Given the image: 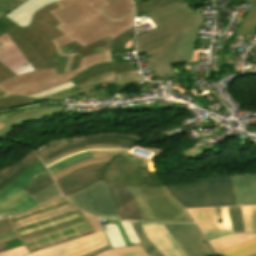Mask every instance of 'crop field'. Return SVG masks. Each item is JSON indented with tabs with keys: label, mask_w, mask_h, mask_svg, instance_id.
<instances>
[{
	"label": "crop field",
	"mask_w": 256,
	"mask_h": 256,
	"mask_svg": "<svg viewBox=\"0 0 256 256\" xmlns=\"http://www.w3.org/2000/svg\"><path fill=\"white\" fill-rule=\"evenodd\" d=\"M147 15L159 29L136 38L137 53L176 38L170 47L146 59L158 76L173 74L169 64L191 60L197 27L202 23L201 8L193 12L187 3L176 2Z\"/></svg>",
	"instance_id": "obj_1"
},
{
	"label": "crop field",
	"mask_w": 256,
	"mask_h": 256,
	"mask_svg": "<svg viewBox=\"0 0 256 256\" xmlns=\"http://www.w3.org/2000/svg\"><path fill=\"white\" fill-rule=\"evenodd\" d=\"M99 0H61L59 8L50 11L60 24L55 26L65 35L52 40L60 47L76 41L85 46L108 35L112 38L134 26V14L104 27L98 18L111 14L114 18L134 9L132 0H120L100 11L92 4Z\"/></svg>",
	"instance_id": "obj_2"
},
{
	"label": "crop field",
	"mask_w": 256,
	"mask_h": 256,
	"mask_svg": "<svg viewBox=\"0 0 256 256\" xmlns=\"http://www.w3.org/2000/svg\"><path fill=\"white\" fill-rule=\"evenodd\" d=\"M57 8L56 4H50L37 11L30 26L21 28L7 17L0 21L8 23L12 31L8 35L29 60L36 71L56 68L57 74L62 73L68 57H57L55 47L50 40L63 35L53 26L58 25L56 20L48 12ZM56 58V61H53ZM42 67L39 69V67Z\"/></svg>",
	"instance_id": "obj_3"
},
{
	"label": "crop field",
	"mask_w": 256,
	"mask_h": 256,
	"mask_svg": "<svg viewBox=\"0 0 256 256\" xmlns=\"http://www.w3.org/2000/svg\"><path fill=\"white\" fill-rule=\"evenodd\" d=\"M166 189L185 208L236 205L230 176L213 174L211 179Z\"/></svg>",
	"instance_id": "obj_4"
},
{
	"label": "crop field",
	"mask_w": 256,
	"mask_h": 256,
	"mask_svg": "<svg viewBox=\"0 0 256 256\" xmlns=\"http://www.w3.org/2000/svg\"><path fill=\"white\" fill-rule=\"evenodd\" d=\"M112 62L110 50L83 57L78 69L56 75L55 69L21 75L0 83V90L6 95L28 96L36 92L61 85L83 70L98 63ZM113 63V62H112ZM74 78V77H73Z\"/></svg>",
	"instance_id": "obj_5"
},
{
	"label": "crop field",
	"mask_w": 256,
	"mask_h": 256,
	"mask_svg": "<svg viewBox=\"0 0 256 256\" xmlns=\"http://www.w3.org/2000/svg\"><path fill=\"white\" fill-rule=\"evenodd\" d=\"M128 187L147 221L193 222L165 188Z\"/></svg>",
	"instance_id": "obj_6"
},
{
	"label": "crop field",
	"mask_w": 256,
	"mask_h": 256,
	"mask_svg": "<svg viewBox=\"0 0 256 256\" xmlns=\"http://www.w3.org/2000/svg\"><path fill=\"white\" fill-rule=\"evenodd\" d=\"M102 180L147 187H164L157 172H148L145 160L121 154L114 157L104 169Z\"/></svg>",
	"instance_id": "obj_7"
},
{
	"label": "crop field",
	"mask_w": 256,
	"mask_h": 256,
	"mask_svg": "<svg viewBox=\"0 0 256 256\" xmlns=\"http://www.w3.org/2000/svg\"><path fill=\"white\" fill-rule=\"evenodd\" d=\"M43 171L48 172L39 160L6 188L0 191V219L20 214L38 205L22 189L31 184L30 179Z\"/></svg>",
	"instance_id": "obj_8"
},
{
	"label": "crop field",
	"mask_w": 256,
	"mask_h": 256,
	"mask_svg": "<svg viewBox=\"0 0 256 256\" xmlns=\"http://www.w3.org/2000/svg\"><path fill=\"white\" fill-rule=\"evenodd\" d=\"M67 199L93 215L119 219L106 182L100 181Z\"/></svg>",
	"instance_id": "obj_9"
},
{
	"label": "crop field",
	"mask_w": 256,
	"mask_h": 256,
	"mask_svg": "<svg viewBox=\"0 0 256 256\" xmlns=\"http://www.w3.org/2000/svg\"><path fill=\"white\" fill-rule=\"evenodd\" d=\"M187 256H211L214 249L208 244L195 223H162ZM166 229V230H167Z\"/></svg>",
	"instance_id": "obj_10"
},
{
	"label": "crop field",
	"mask_w": 256,
	"mask_h": 256,
	"mask_svg": "<svg viewBox=\"0 0 256 256\" xmlns=\"http://www.w3.org/2000/svg\"><path fill=\"white\" fill-rule=\"evenodd\" d=\"M105 245H108V242L101 231L26 256H80Z\"/></svg>",
	"instance_id": "obj_11"
},
{
	"label": "crop field",
	"mask_w": 256,
	"mask_h": 256,
	"mask_svg": "<svg viewBox=\"0 0 256 256\" xmlns=\"http://www.w3.org/2000/svg\"><path fill=\"white\" fill-rule=\"evenodd\" d=\"M84 137L86 141L66 144L51 150L50 152L40 157L42 162L47 161L63 152L77 149L80 147H86V145L89 144H116L126 149H130L143 138L125 133H99L92 135H84Z\"/></svg>",
	"instance_id": "obj_12"
},
{
	"label": "crop field",
	"mask_w": 256,
	"mask_h": 256,
	"mask_svg": "<svg viewBox=\"0 0 256 256\" xmlns=\"http://www.w3.org/2000/svg\"><path fill=\"white\" fill-rule=\"evenodd\" d=\"M107 163H97L80 168L56 181L62 194L67 197L102 178L104 166Z\"/></svg>",
	"instance_id": "obj_13"
},
{
	"label": "crop field",
	"mask_w": 256,
	"mask_h": 256,
	"mask_svg": "<svg viewBox=\"0 0 256 256\" xmlns=\"http://www.w3.org/2000/svg\"><path fill=\"white\" fill-rule=\"evenodd\" d=\"M134 70L124 64H99L75 76L71 81L79 88L113 82L115 74Z\"/></svg>",
	"instance_id": "obj_14"
},
{
	"label": "crop field",
	"mask_w": 256,
	"mask_h": 256,
	"mask_svg": "<svg viewBox=\"0 0 256 256\" xmlns=\"http://www.w3.org/2000/svg\"><path fill=\"white\" fill-rule=\"evenodd\" d=\"M63 107H52L43 109L41 105L0 114V122L6 126L0 129V139L12 131L16 124L38 119L44 116L62 113Z\"/></svg>",
	"instance_id": "obj_15"
},
{
	"label": "crop field",
	"mask_w": 256,
	"mask_h": 256,
	"mask_svg": "<svg viewBox=\"0 0 256 256\" xmlns=\"http://www.w3.org/2000/svg\"><path fill=\"white\" fill-rule=\"evenodd\" d=\"M140 223L146 236L164 256H186L161 223Z\"/></svg>",
	"instance_id": "obj_16"
},
{
	"label": "crop field",
	"mask_w": 256,
	"mask_h": 256,
	"mask_svg": "<svg viewBox=\"0 0 256 256\" xmlns=\"http://www.w3.org/2000/svg\"><path fill=\"white\" fill-rule=\"evenodd\" d=\"M107 184L121 219L145 221L127 185Z\"/></svg>",
	"instance_id": "obj_17"
},
{
	"label": "crop field",
	"mask_w": 256,
	"mask_h": 256,
	"mask_svg": "<svg viewBox=\"0 0 256 256\" xmlns=\"http://www.w3.org/2000/svg\"><path fill=\"white\" fill-rule=\"evenodd\" d=\"M27 59L15 46L7 33L0 36V62L19 75L34 71Z\"/></svg>",
	"instance_id": "obj_18"
},
{
	"label": "crop field",
	"mask_w": 256,
	"mask_h": 256,
	"mask_svg": "<svg viewBox=\"0 0 256 256\" xmlns=\"http://www.w3.org/2000/svg\"><path fill=\"white\" fill-rule=\"evenodd\" d=\"M237 205L256 204V173L231 176Z\"/></svg>",
	"instance_id": "obj_19"
},
{
	"label": "crop field",
	"mask_w": 256,
	"mask_h": 256,
	"mask_svg": "<svg viewBox=\"0 0 256 256\" xmlns=\"http://www.w3.org/2000/svg\"><path fill=\"white\" fill-rule=\"evenodd\" d=\"M113 40L114 39H112L110 36H108L100 41H97V42L87 45L85 47L79 45L78 43L73 42L71 44L60 47V49L64 53H79L78 55L75 56L74 61L71 66V69H75L78 67L81 57L91 55L94 53H98V51L102 52L107 49H110V44L113 42Z\"/></svg>",
	"instance_id": "obj_20"
},
{
	"label": "crop field",
	"mask_w": 256,
	"mask_h": 256,
	"mask_svg": "<svg viewBox=\"0 0 256 256\" xmlns=\"http://www.w3.org/2000/svg\"><path fill=\"white\" fill-rule=\"evenodd\" d=\"M56 1L59 0H28L6 16L21 27L27 26L37 10Z\"/></svg>",
	"instance_id": "obj_21"
},
{
	"label": "crop field",
	"mask_w": 256,
	"mask_h": 256,
	"mask_svg": "<svg viewBox=\"0 0 256 256\" xmlns=\"http://www.w3.org/2000/svg\"><path fill=\"white\" fill-rule=\"evenodd\" d=\"M38 160V157L32 149L16 164L11 167L8 166L7 168H5L2 172H0V190H2L5 186L11 183L14 179H16L20 174H22Z\"/></svg>",
	"instance_id": "obj_22"
},
{
	"label": "crop field",
	"mask_w": 256,
	"mask_h": 256,
	"mask_svg": "<svg viewBox=\"0 0 256 256\" xmlns=\"http://www.w3.org/2000/svg\"><path fill=\"white\" fill-rule=\"evenodd\" d=\"M204 233L218 231L214 208L187 209Z\"/></svg>",
	"instance_id": "obj_23"
},
{
	"label": "crop field",
	"mask_w": 256,
	"mask_h": 256,
	"mask_svg": "<svg viewBox=\"0 0 256 256\" xmlns=\"http://www.w3.org/2000/svg\"><path fill=\"white\" fill-rule=\"evenodd\" d=\"M221 256H251L256 254V237L218 251Z\"/></svg>",
	"instance_id": "obj_24"
},
{
	"label": "crop field",
	"mask_w": 256,
	"mask_h": 256,
	"mask_svg": "<svg viewBox=\"0 0 256 256\" xmlns=\"http://www.w3.org/2000/svg\"><path fill=\"white\" fill-rule=\"evenodd\" d=\"M134 35L135 27L126 30L122 34L114 38V42L111 44V51L121 52L126 50L135 49L134 47Z\"/></svg>",
	"instance_id": "obj_25"
},
{
	"label": "crop field",
	"mask_w": 256,
	"mask_h": 256,
	"mask_svg": "<svg viewBox=\"0 0 256 256\" xmlns=\"http://www.w3.org/2000/svg\"><path fill=\"white\" fill-rule=\"evenodd\" d=\"M87 158H94L91 151L80 153V154L74 155L72 157L63 159V160L49 166L48 170L52 175V174L62 170L63 168L69 166V165H72V164H74L78 161H81V160H84V159H87Z\"/></svg>",
	"instance_id": "obj_26"
},
{
	"label": "crop field",
	"mask_w": 256,
	"mask_h": 256,
	"mask_svg": "<svg viewBox=\"0 0 256 256\" xmlns=\"http://www.w3.org/2000/svg\"><path fill=\"white\" fill-rule=\"evenodd\" d=\"M256 235H243L238 234L234 236H229L225 238L215 239L209 241L210 244L216 249V251L221 250L223 248L229 247L231 245L237 244L239 242H242L244 240L250 239L252 237H255Z\"/></svg>",
	"instance_id": "obj_27"
},
{
	"label": "crop field",
	"mask_w": 256,
	"mask_h": 256,
	"mask_svg": "<svg viewBox=\"0 0 256 256\" xmlns=\"http://www.w3.org/2000/svg\"><path fill=\"white\" fill-rule=\"evenodd\" d=\"M255 5L243 20L237 33L247 36L249 32L256 26V0H241Z\"/></svg>",
	"instance_id": "obj_28"
},
{
	"label": "crop field",
	"mask_w": 256,
	"mask_h": 256,
	"mask_svg": "<svg viewBox=\"0 0 256 256\" xmlns=\"http://www.w3.org/2000/svg\"><path fill=\"white\" fill-rule=\"evenodd\" d=\"M98 256H148L140 244L126 248L111 249Z\"/></svg>",
	"instance_id": "obj_29"
},
{
	"label": "crop field",
	"mask_w": 256,
	"mask_h": 256,
	"mask_svg": "<svg viewBox=\"0 0 256 256\" xmlns=\"http://www.w3.org/2000/svg\"><path fill=\"white\" fill-rule=\"evenodd\" d=\"M176 1H178L180 4L185 3V0H150L145 3L140 2L134 5L136 7V13L144 9H146L147 13H149L151 11H154L156 9H159L161 7L174 3Z\"/></svg>",
	"instance_id": "obj_30"
},
{
	"label": "crop field",
	"mask_w": 256,
	"mask_h": 256,
	"mask_svg": "<svg viewBox=\"0 0 256 256\" xmlns=\"http://www.w3.org/2000/svg\"><path fill=\"white\" fill-rule=\"evenodd\" d=\"M131 223L133 224L141 242H142V247L145 249V251L148 253L149 256H163L158 250L157 248L149 241V239L145 236V234L143 233L140 223L139 222H133L131 221ZM146 253V254H147Z\"/></svg>",
	"instance_id": "obj_31"
},
{
	"label": "crop field",
	"mask_w": 256,
	"mask_h": 256,
	"mask_svg": "<svg viewBox=\"0 0 256 256\" xmlns=\"http://www.w3.org/2000/svg\"><path fill=\"white\" fill-rule=\"evenodd\" d=\"M61 193L58 189V187L56 186V184H52L49 187H47L46 189L36 193L35 195L31 196L39 205L60 196Z\"/></svg>",
	"instance_id": "obj_32"
},
{
	"label": "crop field",
	"mask_w": 256,
	"mask_h": 256,
	"mask_svg": "<svg viewBox=\"0 0 256 256\" xmlns=\"http://www.w3.org/2000/svg\"><path fill=\"white\" fill-rule=\"evenodd\" d=\"M103 228L108 237L111 248L125 246L124 241L116 225L107 224L103 226Z\"/></svg>",
	"instance_id": "obj_33"
},
{
	"label": "crop field",
	"mask_w": 256,
	"mask_h": 256,
	"mask_svg": "<svg viewBox=\"0 0 256 256\" xmlns=\"http://www.w3.org/2000/svg\"><path fill=\"white\" fill-rule=\"evenodd\" d=\"M82 93H85V97L95 96L94 86L90 88L82 89V90H79L76 86H74L64 92L56 93L54 95H51L45 98L59 100L65 97L82 94Z\"/></svg>",
	"instance_id": "obj_34"
},
{
	"label": "crop field",
	"mask_w": 256,
	"mask_h": 256,
	"mask_svg": "<svg viewBox=\"0 0 256 256\" xmlns=\"http://www.w3.org/2000/svg\"><path fill=\"white\" fill-rule=\"evenodd\" d=\"M33 100L34 99H31V98L18 97V96H9V97L0 98V109H5V108L13 107L16 105L34 102Z\"/></svg>",
	"instance_id": "obj_35"
},
{
	"label": "crop field",
	"mask_w": 256,
	"mask_h": 256,
	"mask_svg": "<svg viewBox=\"0 0 256 256\" xmlns=\"http://www.w3.org/2000/svg\"><path fill=\"white\" fill-rule=\"evenodd\" d=\"M228 209L234 231L245 233L240 207H228Z\"/></svg>",
	"instance_id": "obj_36"
},
{
	"label": "crop field",
	"mask_w": 256,
	"mask_h": 256,
	"mask_svg": "<svg viewBox=\"0 0 256 256\" xmlns=\"http://www.w3.org/2000/svg\"><path fill=\"white\" fill-rule=\"evenodd\" d=\"M54 181L51 178L50 174L46 175L45 177L39 179L38 181L32 183L25 189H23L25 192H27L30 196L35 194L36 192L40 191L41 189L49 186Z\"/></svg>",
	"instance_id": "obj_37"
},
{
	"label": "crop field",
	"mask_w": 256,
	"mask_h": 256,
	"mask_svg": "<svg viewBox=\"0 0 256 256\" xmlns=\"http://www.w3.org/2000/svg\"><path fill=\"white\" fill-rule=\"evenodd\" d=\"M87 149H123V148H120V147L115 146V145H90V146H88V148H80V149H77V150H73V151H69V152H66L64 154H61V155H59V156H57V157H55V158H53V159H51L47 162H44V164L46 166H48L49 164L65 157V156H68L70 154H73V153H76V152H79V151L87 150Z\"/></svg>",
	"instance_id": "obj_38"
},
{
	"label": "crop field",
	"mask_w": 256,
	"mask_h": 256,
	"mask_svg": "<svg viewBox=\"0 0 256 256\" xmlns=\"http://www.w3.org/2000/svg\"><path fill=\"white\" fill-rule=\"evenodd\" d=\"M74 86V84L70 81L66 84H63L61 86H58V87H55V88H52V89H48V90H45V91H42V92H39V93H36L34 95H31V97H36V98H42V97H45V96H48V95H51V94H54L56 92H60V91H63L67 88H70Z\"/></svg>",
	"instance_id": "obj_39"
},
{
	"label": "crop field",
	"mask_w": 256,
	"mask_h": 256,
	"mask_svg": "<svg viewBox=\"0 0 256 256\" xmlns=\"http://www.w3.org/2000/svg\"><path fill=\"white\" fill-rule=\"evenodd\" d=\"M120 222L122 224V227H123L127 237L129 238L130 242L131 243L135 242V244L140 243L130 221H120Z\"/></svg>",
	"instance_id": "obj_40"
},
{
	"label": "crop field",
	"mask_w": 256,
	"mask_h": 256,
	"mask_svg": "<svg viewBox=\"0 0 256 256\" xmlns=\"http://www.w3.org/2000/svg\"><path fill=\"white\" fill-rule=\"evenodd\" d=\"M204 152H206V151L194 146L188 150L181 152V154L188 159H195L198 156H200L201 154H203Z\"/></svg>",
	"instance_id": "obj_41"
},
{
	"label": "crop field",
	"mask_w": 256,
	"mask_h": 256,
	"mask_svg": "<svg viewBox=\"0 0 256 256\" xmlns=\"http://www.w3.org/2000/svg\"><path fill=\"white\" fill-rule=\"evenodd\" d=\"M81 212V214L84 216V218L86 219V221L89 223V225L92 227V229L97 232V231H101V226L97 220V217L91 216L81 210H79Z\"/></svg>",
	"instance_id": "obj_42"
},
{
	"label": "crop field",
	"mask_w": 256,
	"mask_h": 256,
	"mask_svg": "<svg viewBox=\"0 0 256 256\" xmlns=\"http://www.w3.org/2000/svg\"><path fill=\"white\" fill-rule=\"evenodd\" d=\"M246 233H253L248 206L241 207Z\"/></svg>",
	"instance_id": "obj_43"
},
{
	"label": "crop field",
	"mask_w": 256,
	"mask_h": 256,
	"mask_svg": "<svg viewBox=\"0 0 256 256\" xmlns=\"http://www.w3.org/2000/svg\"><path fill=\"white\" fill-rule=\"evenodd\" d=\"M14 76L16 75L13 72H11L9 69H7L0 63V82L10 79ZM0 96H4V94L0 92Z\"/></svg>",
	"instance_id": "obj_44"
},
{
	"label": "crop field",
	"mask_w": 256,
	"mask_h": 256,
	"mask_svg": "<svg viewBox=\"0 0 256 256\" xmlns=\"http://www.w3.org/2000/svg\"><path fill=\"white\" fill-rule=\"evenodd\" d=\"M27 253L25 246L0 253V256H22Z\"/></svg>",
	"instance_id": "obj_45"
},
{
	"label": "crop field",
	"mask_w": 256,
	"mask_h": 256,
	"mask_svg": "<svg viewBox=\"0 0 256 256\" xmlns=\"http://www.w3.org/2000/svg\"><path fill=\"white\" fill-rule=\"evenodd\" d=\"M21 3L22 2L18 0H7L5 2L3 0H0V7L10 12L13 9H15L17 6H19Z\"/></svg>",
	"instance_id": "obj_46"
},
{
	"label": "crop field",
	"mask_w": 256,
	"mask_h": 256,
	"mask_svg": "<svg viewBox=\"0 0 256 256\" xmlns=\"http://www.w3.org/2000/svg\"><path fill=\"white\" fill-rule=\"evenodd\" d=\"M19 246H23V243L21 242L20 238L0 244V252L15 248V247H19Z\"/></svg>",
	"instance_id": "obj_47"
},
{
	"label": "crop field",
	"mask_w": 256,
	"mask_h": 256,
	"mask_svg": "<svg viewBox=\"0 0 256 256\" xmlns=\"http://www.w3.org/2000/svg\"><path fill=\"white\" fill-rule=\"evenodd\" d=\"M124 151H92L94 157H114Z\"/></svg>",
	"instance_id": "obj_48"
},
{
	"label": "crop field",
	"mask_w": 256,
	"mask_h": 256,
	"mask_svg": "<svg viewBox=\"0 0 256 256\" xmlns=\"http://www.w3.org/2000/svg\"><path fill=\"white\" fill-rule=\"evenodd\" d=\"M13 227L9 221V218L0 220V234L13 231Z\"/></svg>",
	"instance_id": "obj_49"
},
{
	"label": "crop field",
	"mask_w": 256,
	"mask_h": 256,
	"mask_svg": "<svg viewBox=\"0 0 256 256\" xmlns=\"http://www.w3.org/2000/svg\"><path fill=\"white\" fill-rule=\"evenodd\" d=\"M172 41H173V40H172ZM172 41L167 42V43L162 44V45H159V46L154 47V48H152V49H149V50H147V51H144L145 54H146V56H147V58L150 57V56H152V55H154V54H156V53H158V52H160V51H162V50H164L165 48H167V47L169 46L168 44L171 43ZM142 53H143V52H142Z\"/></svg>",
	"instance_id": "obj_50"
},
{
	"label": "crop field",
	"mask_w": 256,
	"mask_h": 256,
	"mask_svg": "<svg viewBox=\"0 0 256 256\" xmlns=\"http://www.w3.org/2000/svg\"><path fill=\"white\" fill-rule=\"evenodd\" d=\"M234 234H237V233L222 231V232H218V233L206 234L205 236L208 240H211V239L234 235Z\"/></svg>",
	"instance_id": "obj_51"
},
{
	"label": "crop field",
	"mask_w": 256,
	"mask_h": 256,
	"mask_svg": "<svg viewBox=\"0 0 256 256\" xmlns=\"http://www.w3.org/2000/svg\"><path fill=\"white\" fill-rule=\"evenodd\" d=\"M56 47V46H55ZM56 50H57V54H58V56H69V58H68V62L66 63V66H65V70H64V72L65 71H68L69 69H70V66H71V63H72V61H73V57H74V55L75 54H64L59 48H57L56 47Z\"/></svg>",
	"instance_id": "obj_52"
},
{
	"label": "crop field",
	"mask_w": 256,
	"mask_h": 256,
	"mask_svg": "<svg viewBox=\"0 0 256 256\" xmlns=\"http://www.w3.org/2000/svg\"><path fill=\"white\" fill-rule=\"evenodd\" d=\"M99 159H112V158H94V159L84 160V161L78 162V163H76V164H74V165H72V166H70V167H68V168H66V169H64V170L54 174V175H52V176L54 178V177H56V176H58V175H60V174H62L64 172L68 171L69 169L73 168L76 165L83 164V163H86V162H90V161H93V160H99Z\"/></svg>",
	"instance_id": "obj_53"
},
{
	"label": "crop field",
	"mask_w": 256,
	"mask_h": 256,
	"mask_svg": "<svg viewBox=\"0 0 256 256\" xmlns=\"http://www.w3.org/2000/svg\"><path fill=\"white\" fill-rule=\"evenodd\" d=\"M249 209H250L253 231H254V233H256V205L249 206Z\"/></svg>",
	"instance_id": "obj_54"
},
{
	"label": "crop field",
	"mask_w": 256,
	"mask_h": 256,
	"mask_svg": "<svg viewBox=\"0 0 256 256\" xmlns=\"http://www.w3.org/2000/svg\"><path fill=\"white\" fill-rule=\"evenodd\" d=\"M109 161H110V160H99V161H94V162L86 163V164H83V165H79V166H77V167H75V168L69 170L68 172H66V173H64V174H62V175H60V176H58V177H56V178H54V179H55V181H56V180L59 179L60 177H62V176H64V175H66V174H68V173L74 171L75 169L80 168V167H83V166H86V165H88V164L97 163V162H109Z\"/></svg>",
	"instance_id": "obj_55"
},
{
	"label": "crop field",
	"mask_w": 256,
	"mask_h": 256,
	"mask_svg": "<svg viewBox=\"0 0 256 256\" xmlns=\"http://www.w3.org/2000/svg\"><path fill=\"white\" fill-rule=\"evenodd\" d=\"M107 249H109V245L106 246V247L100 248L98 250L92 251L90 253H87L85 255H82V256H95V255H97V254H99V253H101V252H103V251H105Z\"/></svg>",
	"instance_id": "obj_56"
},
{
	"label": "crop field",
	"mask_w": 256,
	"mask_h": 256,
	"mask_svg": "<svg viewBox=\"0 0 256 256\" xmlns=\"http://www.w3.org/2000/svg\"><path fill=\"white\" fill-rule=\"evenodd\" d=\"M115 222H116V224H117L118 227H119V230H120V232H121V234H122V237H123V239H124L126 245H127V246L131 245L130 242H129V240H128V238L126 237V235H125V233H124L122 227H121L120 222H119V221H115Z\"/></svg>",
	"instance_id": "obj_57"
},
{
	"label": "crop field",
	"mask_w": 256,
	"mask_h": 256,
	"mask_svg": "<svg viewBox=\"0 0 256 256\" xmlns=\"http://www.w3.org/2000/svg\"><path fill=\"white\" fill-rule=\"evenodd\" d=\"M11 30L8 24L4 25L0 22V35Z\"/></svg>",
	"instance_id": "obj_58"
},
{
	"label": "crop field",
	"mask_w": 256,
	"mask_h": 256,
	"mask_svg": "<svg viewBox=\"0 0 256 256\" xmlns=\"http://www.w3.org/2000/svg\"><path fill=\"white\" fill-rule=\"evenodd\" d=\"M12 235H16V232L13 231V232H10V233L0 235V240L3 239V238H6V237L12 236Z\"/></svg>",
	"instance_id": "obj_59"
},
{
	"label": "crop field",
	"mask_w": 256,
	"mask_h": 256,
	"mask_svg": "<svg viewBox=\"0 0 256 256\" xmlns=\"http://www.w3.org/2000/svg\"><path fill=\"white\" fill-rule=\"evenodd\" d=\"M15 238H18V235L13 236V237L6 238V239H4V240H1V241H0V243H3V242H6V241H9V240H12V239H15Z\"/></svg>",
	"instance_id": "obj_60"
},
{
	"label": "crop field",
	"mask_w": 256,
	"mask_h": 256,
	"mask_svg": "<svg viewBox=\"0 0 256 256\" xmlns=\"http://www.w3.org/2000/svg\"><path fill=\"white\" fill-rule=\"evenodd\" d=\"M0 11L3 13V14H7V13H9V12H7V11H5L4 9H2V8H0Z\"/></svg>",
	"instance_id": "obj_61"
},
{
	"label": "crop field",
	"mask_w": 256,
	"mask_h": 256,
	"mask_svg": "<svg viewBox=\"0 0 256 256\" xmlns=\"http://www.w3.org/2000/svg\"><path fill=\"white\" fill-rule=\"evenodd\" d=\"M253 61L256 63V53H255V55L253 56Z\"/></svg>",
	"instance_id": "obj_62"
},
{
	"label": "crop field",
	"mask_w": 256,
	"mask_h": 256,
	"mask_svg": "<svg viewBox=\"0 0 256 256\" xmlns=\"http://www.w3.org/2000/svg\"><path fill=\"white\" fill-rule=\"evenodd\" d=\"M40 101H37V102H34V103H30V104H35V103H39ZM30 104H26V105H30ZM23 106V105H21ZM16 107H19V106H16Z\"/></svg>",
	"instance_id": "obj_63"
},
{
	"label": "crop field",
	"mask_w": 256,
	"mask_h": 256,
	"mask_svg": "<svg viewBox=\"0 0 256 256\" xmlns=\"http://www.w3.org/2000/svg\"><path fill=\"white\" fill-rule=\"evenodd\" d=\"M3 126H5V125H3V124L0 123V128H2Z\"/></svg>",
	"instance_id": "obj_64"
},
{
	"label": "crop field",
	"mask_w": 256,
	"mask_h": 256,
	"mask_svg": "<svg viewBox=\"0 0 256 256\" xmlns=\"http://www.w3.org/2000/svg\"><path fill=\"white\" fill-rule=\"evenodd\" d=\"M2 16H4V15L0 12V18H1Z\"/></svg>",
	"instance_id": "obj_65"
},
{
	"label": "crop field",
	"mask_w": 256,
	"mask_h": 256,
	"mask_svg": "<svg viewBox=\"0 0 256 256\" xmlns=\"http://www.w3.org/2000/svg\"><path fill=\"white\" fill-rule=\"evenodd\" d=\"M108 2L112 1V0H107Z\"/></svg>",
	"instance_id": "obj_66"
},
{
	"label": "crop field",
	"mask_w": 256,
	"mask_h": 256,
	"mask_svg": "<svg viewBox=\"0 0 256 256\" xmlns=\"http://www.w3.org/2000/svg\"><path fill=\"white\" fill-rule=\"evenodd\" d=\"M21 1H23V2H24V1H26V0H21Z\"/></svg>",
	"instance_id": "obj_67"
},
{
	"label": "crop field",
	"mask_w": 256,
	"mask_h": 256,
	"mask_svg": "<svg viewBox=\"0 0 256 256\" xmlns=\"http://www.w3.org/2000/svg\"><path fill=\"white\" fill-rule=\"evenodd\" d=\"M217 0H214V2H216Z\"/></svg>",
	"instance_id": "obj_68"
},
{
	"label": "crop field",
	"mask_w": 256,
	"mask_h": 256,
	"mask_svg": "<svg viewBox=\"0 0 256 256\" xmlns=\"http://www.w3.org/2000/svg\"><path fill=\"white\" fill-rule=\"evenodd\" d=\"M254 256H256V255H254Z\"/></svg>",
	"instance_id": "obj_69"
}]
</instances>
